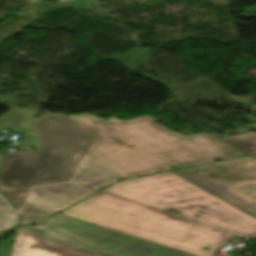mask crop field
Wrapping results in <instances>:
<instances>
[{
	"label": "crop field",
	"instance_id": "crop-field-1",
	"mask_svg": "<svg viewBox=\"0 0 256 256\" xmlns=\"http://www.w3.org/2000/svg\"><path fill=\"white\" fill-rule=\"evenodd\" d=\"M69 117L95 140L88 152L125 178L246 155L208 133L185 136L167 130L148 115L132 121Z\"/></svg>",
	"mask_w": 256,
	"mask_h": 256
},
{
	"label": "crop field",
	"instance_id": "crop-field-2",
	"mask_svg": "<svg viewBox=\"0 0 256 256\" xmlns=\"http://www.w3.org/2000/svg\"><path fill=\"white\" fill-rule=\"evenodd\" d=\"M62 214L197 256H214L235 236L102 192Z\"/></svg>",
	"mask_w": 256,
	"mask_h": 256
},
{
	"label": "crop field",
	"instance_id": "crop-field-3",
	"mask_svg": "<svg viewBox=\"0 0 256 256\" xmlns=\"http://www.w3.org/2000/svg\"><path fill=\"white\" fill-rule=\"evenodd\" d=\"M33 128L44 150L5 154L0 169V188L18 209L28 186L68 180L94 141L65 115Z\"/></svg>",
	"mask_w": 256,
	"mask_h": 256
},
{
	"label": "crop field",
	"instance_id": "crop-field-4",
	"mask_svg": "<svg viewBox=\"0 0 256 256\" xmlns=\"http://www.w3.org/2000/svg\"><path fill=\"white\" fill-rule=\"evenodd\" d=\"M102 192L157 210L173 209L182 218L256 238L255 218L172 172L119 182Z\"/></svg>",
	"mask_w": 256,
	"mask_h": 256
},
{
	"label": "crop field",
	"instance_id": "crop-field-5",
	"mask_svg": "<svg viewBox=\"0 0 256 256\" xmlns=\"http://www.w3.org/2000/svg\"><path fill=\"white\" fill-rule=\"evenodd\" d=\"M18 232L91 256H194L62 214Z\"/></svg>",
	"mask_w": 256,
	"mask_h": 256
},
{
	"label": "crop field",
	"instance_id": "crop-field-6",
	"mask_svg": "<svg viewBox=\"0 0 256 256\" xmlns=\"http://www.w3.org/2000/svg\"><path fill=\"white\" fill-rule=\"evenodd\" d=\"M176 173L256 217V159L249 156L199 165Z\"/></svg>",
	"mask_w": 256,
	"mask_h": 256
},
{
	"label": "crop field",
	"instance_id": "crop-field-7",
	"mask_svg": "<svg viewBox=\"0 0 256 256\" xmlns=\"http://www.w3.org/2000/svg\"><path fill=\"white\" fill-rule=\"evenodd\" d=\"M120 179L124 178L87 152L68 181L28 187L24 202L58 213L96 191L90 187Z\"/></svg>",
	"mask_w": 256,
	"mask_h": 256
},
{
	"label": "crop field",
	"instance_id": "crop-field-8",
	"mask_svg": "<svg viewBox=\"0 0 256 256\" xmlns=\"http://www.w3.org/2000/svg\"><path fill=\"white\" fill-rule=\"evenodd\" d=\"M11 256H88L34 237L16 233Z\"/></svg>",
	"mask_w": 256,
	"mask_h": 256
},
{
	"label": "crop field",
	"instance_id": "crop-field-9",
	"mask_svg": "<svg viewBox=\"0 0 256 256\" xmlns=\"http://www.w3.org/2000/svg\"><path fill=\"white\" fill-rule=\"evenodd\" d=\"M222 140L248 153H256V132L222 138Z\"/></svg>",
	"mask_w": 256,
	"mask_h": 256
},
{
	"label": "crop field",
	"instance_id": "crop-field-10",
	"mask_svg": "<svg viewBox=\"0 0 256 256\" xmlns=\"http://www.w3.org/2000/svg\"><path fill=\"white\" fill-rule=\"evenodd\" d=\"M3 154H0V161ZM4 212L7 213H16L12 205L0 194V230H4V225L9 220Z\"/></svg>",
	"mask_w": 256,
	"mask_h": 256
},
{
	"label": "crop field",
	"instance_id": "crop-field-11",
	"mask_svg": "<svg viewBox=\"0 0 256 256\" xmlns=\"http://www.w3.org/2000/svg\"><path fill=\"white\" fill-rule=\"evenodd\" d=\"M71 6H73L75 9L77 8H86L88 10L91 9L92 4L88 3L87 0H74L69 2Z\"/></svg>",
	"mask_w": 256,
	"mask_h": 256
},
{
	"label": "crop field",
	"instance_id": "crop-field-12",
	"mask_svg": "<svg viewBox=\"0 0 256 256\" xmlns=\"http://www.w3.org/2000/svg\"><path fill=\"white\" fill-rule=\"evenodd\" d=\"M21 211H22V210H18L17 213H21ZM6 215L9 217L10 220H9V221L7 222V224L4 226L5 229L12 227V226L15 225L16 222H17L16 214L11 215V214H7V213H6Z\"/></svg>",
	"mask_w": 256,
	"mask_h": 256
},
{
	"label": "crop field",
	"instance_id": "crop-field-13",
	"mask_svg": "<svg viewBox=\"0 0 256 256\" xmlns=\"http://www.w3.org/2000/svg\"><path fill=\"white\" fill-rule=\"evenodd\" d=\"M4 16H0V19L3 18Z\"/></svg>",
	"mask_w": 256,
	"mask_h": 256
},
{
	"label": "crop field",
	"instance_id": "crop-field-14",
	"mask_svg": "<svg viewBox=\"0 0 256 256\" xmlns=\"http://www.w3.org/2000/svg\"><path fill=\"white\" fill-rule=\"evenodd\" d=\"M254 157H256V155H253Z\"/></svg>",
	"mask_w": 256,
	"mask_h": 256
}]
</instances>
